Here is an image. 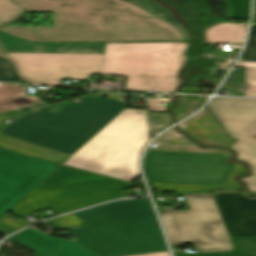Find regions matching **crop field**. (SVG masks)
I'll use <instances>...</instances> for the list:
<instances>
[{"label":"crop field","mask_w":256,"mask_h":256,"mask_svg":"<svg viewBox=\"0 0 256 256\" xmlns=\"http://www.w3.org/2000/svg\"><path fill=\"white\" fill-rule=\"evenodd\" d=\"M17 112H19V111L17 109H15V110H11V111L0 113V131L4 127H6V126L2 125V123L5 122L7 119H9L14 114H16Z\"/></svg>","instance_id":"crop-field-30"},{"label":"crop field","mask_w":256,"mask_h":256,"mask_svg":"<svg viewBox=\"0 0 256 256\" xmlns=\"http://www.w3.org/2000/svg\"><path fill=\"white\" fill-rule=\"evenodd\" d=\"M20 73L33 81L59 85L62 78L87 79L99 74L104 55L9 53Z\"/></svg>","instance_id":"crop-field-11"},{"label":"crop field","mask_w":256,"mask_h":256,"mask_svg":"<svg viewBox=\"0 0 256 256\" xmlns=\"http://www.w3.org/2000/svg\"><path fill=\"white\" fill-rule=\"evenodd\" d=\"M132 256H170L168 251L164 252H156V253H148V254H140V255H132Z\"/></svg>","instance_id":"crop-field-31"},{"label":"crop field","mask_w":256,"mask_h":256,"mask_svg":"<svg viewBox=\"0 0 256 256\" xmlns=\"http://www.w3.org/2000/svg\"><path fill=\"white\" fill-rule=\"evenodd\" d=\"M236 250H255L256 237L233 238Z\"/></svg>","instance_id":"crop-field-27"},{"label":"crop field","mask_w":256,"mask_h":256,"mask_svg":"<svg viewBox=\"0 0 256 256\" xmlns=\"http://www.w3.org/2000/svg\"><path fill=\"white\" fill-rule=\"evenodd\" d=\"M19 92H23V87L0 85V112L40 103V100L36 97L23 98L18 96Z\"/></svg>","instance_id":"crop-field-18"},{"label":"crop field","mask_w":256,"mask_h":256,"mask_svg":"<svg viewBox=\"0 0 256 256\" xmlns=\"http://www.w3.org/2000/svg\"><path fill=\"white\" fill-rule=\"evenodd\" d=\"M245 96H256V68H245Z\"/></svg>","instance_id":"crop-field-25"},{"label":"crop field","mask_w":256,"mask_h":256,"mask_svg":"<svg viewBox=\"0 0 256 256\" xmlns=\"http://www.w3.org/2000/svg\"><path fill=\"white\" fill-rule=\"evenodd\" d=\"M240 60L256 61V24L251 27L247 48Z\"/></svg>","instance_id":"crop-field-23"},{"label":"crop field","mask_w":256,"mask_h":256,"mask_svg":"<svg viewBox=\"0 0 256 256\" xmlns=\"http://www.w3.org/2000/svg\"><path fill=\"white\" fill-rule=\"evenodd\" d=\"M148 141L145 110L125 109L64 164L131 182Z\"/></svg>","instance_id":"crop-field-4"},{"label":"crop field","mask_w":256,"mask_h":256,"mask_svg":"<svg viewBox=\"0 0 256 256\" xmlns=\"http://www.w3.org/2000/svg\"><path fill=\"white\" fill-rule=\"evenodd\" d=\"M187 97H197L196 100L186 99ZM207 97L204 96H180L178 100L179 107H177L173 112L176 114V121L180 120L192 112L196 111L205 102Z\"/></svg>","instance_id":"crop-field-20"},{"label":"crop field","mask_w":256,"mask_h":256,"mask_svg":"<svg viewBox=\"0 0 256 256\" xmlns=\"http://www.w3.org/2000/svg\"><path fill=\"white\" fill-rule=\"evenodd\" d=\"M31 12H53V27L0 31L35 42L185 40L171 23L126 0H10Z\"/></svg>","instance_id":"crop-field-1"},{"label":"crop field","mask_w":256,"mask_h":256,"mask_svg":"<svg viewBox=\"0 0 256 256\" xmlns=\"http://www.w3.org/2000/svg\"><path fill=\"white\" fill-rule=\"evenodd\" d=\"M74 214L88 224L71 231V235L101 256L168 250L148 197L107 203Z\"/></svg>","instance_id":"crop-field-3"},{"label":"crop field","mask_w":256,"mask_h":256,"mask_svg":"<svg viewBox=\"0 0 256 256\" xmlns=\"http://www.w3.org/2000/svg\"><path fill=\"white\" fill-rule=\"evenodd\" d=\"M175 256H256L254 251H231V252H218V253H204V254H190L183 255L173 252Z\"/></svg>","instance_id":"crop-field-26"},{"label":"crop field","mask_w":256,"mask_h":256,"mask_svg":"<svg viewBox=\"0 0 256 256\" xmlns=\"http://www.w3.org/2000/svg\"><path fill=\"white\" fill-rule=\"evenodd\" d=\"M231 137L237 160L250 164L252 177L240 179L256 193V99L214 98L208 106Z\"/></svg>","instance_id":"crop-field-9"},{"label":"crop field","mask_w":256,"mask_h":256,"mask_svg":"<svg viewBox=\"0 0 256 256\" xmlns=\"http://www.w3.org/2000/svg\"><path fill=\"white\" fill-rule=\"evenodd\" d=\"M121 95L84 98L51 113H29L0 132V146L63 164L129 104Z\"/></svg>","instance_id":"crop-field-2"},{"label":"crop field","mask_w":256,"mask_h":256,"mask_svg":"<svg viewBox=\"0 0 256 256\" xmlns=\"http://www.w3.org/2000/svg\"><path fill=\"white\" fill-rule=\"evenodd\" d=\"M24 11L9 0H0V20L22 14Z\"/></svg>","instance_id":"crop-field-24"},{"label":"crop field","mask_w":256,"mask_h":256,"mask_svg":"<svg viewBox=\"0 0 256 256\" xmlns=\"http://www.w3.org/2000/svg\"><path fill=\"white\" fill-rule=\"evenodd\" d=\"M253 23H256V3H255L254 15H253Z\"/></svg>","instance_id":"crop-field-35"},{"label":"crop field","mask_w":256,"mask_h":256,"mask_svg":"<svg viewBox=\"0 0 256 256\" xmlns=\"http://www.w3.org/2000/svg\"><path fill=\"white\" fill-rule=\"evenodd\" d=\"M137 185L61 165L29 197L58 215L101 202L128 197L122 190Z\"/></svg>","instance_id":"crop-field-7"},{"label":"crop field","mask_w":256,"mask_h":256,"mask_svg":"<svg viewBox=\"0 0 256 256\" xmlns=\"http://www.w3.org/2000/svg\"><path fill=\"white\" fill-rule=\"evenodd\" d=\"M236 67H256V63H238Z\"/></svg>","instance_id":"crop-field-33"},{"label":"crop field","mask_w":256,"mask_h":256,"mask_svg":"<svg viewBox=\"0 0 256 256\" xmlns=\"http://www.w3.org/2000/svg\"><path fill=\"white\" fill-rule=\"evenodd\" d=\"M16 17L17 16L0 21V26L12 23Z\"/></svg>","instance_id":"crop-field-34"},{"label":"crop field","mask_w":256,"mask_h":256,"mask_svg":"<svg viewBox=\"0 0 256 256\" xmlns=\"http://www.w3.org/2000/svg\"><path fill=\"white\" fill-rule=\"evenodd\" d=\"M224 188L210 194H186L191 209L174 211L163 208L159 214L171 244L195 242L199 252L233 250L225 224L212 194L233 193ZM200 195V198H197Z\"/></svg>","instance_id":"crop-field-8"},{"label":"crop field","mask_w":256,"mask_h":256,"mask_svg":"<svg viewBox=\"0 0 256 256\" xmlns=\"http://www.w3.org/2000/svg\"><path fill=\"white\" fill-rule=\"evenodd\" d=\"M179 127L204 144L230 146L234 142L226 135L207 109Z\"/></svg>","instance_id":"crop-field-15"},{"label":"crop field","mask_w":256,"mask_h":256,"mask_svg":"<svg viewBox=\"0 0 256 256\" xmlns=\"http://www.w3.org/2000/svg\"><path fill=\"white\" fill-rule=\"evenodd\" d=\"M151 128L153 131L159 132L165 127L172 124V118L165 113H149Z\"/></svg>","instance_id":"crop-field-22"},{"label":"crop field","mask_w":256,"mask_h":256,"mask_svg":"<svg viewBox=\"0 0 256 256\" xmlns=\"http://www.w3.org/2000/svg\"><path fill=\"white\" fill-rule=\"evenodd\" d=\"M129 1L137 3L143 8H145L146 10H148L150 13L173 23L181 31V33L184 35L186 40H195L184 28L181 22L177 19V17L174 15L172 10L166 8L159 2L155 0H129Z\"/></svg>","instance_id":"crop-field-19"},{"label":"crop field","mask_w":256,"mask_h":256,"mask_svg":"<svg viewBox=\"0 0 256 256\" xmlns=\"http://www.w3.org/2000/svg\"><path fill=\"white\" fill-rule=\"evenodd\" d=\"M187 43L107 44L100 74L128 76L126 89L174 92Z\"/></svg>","instance_id":"crop-field-5"},{"label":"crop field","mask_w":256,"mask_h":256,"mask_svg":"<svg viewBox=\"0 0 256 256\" xmlns=\"http://www.w3.org/2000/svg\"><path fill=\"white\" fill-rule=\"evenodd\" d=\"M10 238L37 251L35 256H100L76 241L53 238L33 227Z\"/></svg>","instance_id":"crop-field-14"},{"label":"crop field","mask_w":256,"mask_h":256,"mask_svg":"<svg viewBox=\"0 0 256 256\" xmlns=\"http://www.w3.org/2000/svg\"><path fill=\"white\" fill-rule=\"evenodd\" d=\"M247 24L220 23L205 28V42L243 43Z\"/></svg>","instance_id":"crop-field-17"},{"label":"crop field","mask_w":256,"mask_h":256,"mask_svg":"<svg viewBox=\"0 0 256 256\" xmlns=\"http://www.w3.org/2000/svg\"><path fill=\"white\" fill-rule=\"evenodd\" d=\"M229 157L148 150L143 167L146 178L158 189L185 193L223 185L241 188L233 178L246 169L243 165L228 163Z\"/></svg>","instance_id":"crop-field-6"},{"label":"crop field","mask_w":256,"mask_h":256,"mask_svg":"<svg viewBox=\"0 0 256 256\" xmlns=\"http://www.w3.org/2000/svg\"><path fill=\"white\" fill-rule=\"evenodd\" d=\"M0 81L24 82L17 76L14 67H0Z\"/></svg>","instance_id":"crop-field-28"},{"label":"crop field","mask_w":256,"mask_h":256,"mask_svg":"<svg viewBox=\"0 0 256 256\" xmlns=\"http://www.w3.org/2000/svg\"><path fill=\"white\" fill-rule=\"evenodd\" d=\"M146 42H188V41H146ZM146 42H55L35 43L0 32V43L8 52L33 53H81L104 54L106 43H146Z\"/></svg>","instance_id":"crop-field-13"},{"label":"crop field","mask_w":256,"mask_h":256,"mask_svg":"<svg viewBox=\"0 0 256 256\" xmlns=\"http://www.w3.org/2000/svg\"><path fill=\"white\" fill-rule=\"evenodd\" d=\"M213 196L231 237L256 236V199L242 193Z\"/></svg>","instance_id":"crop-field-12"},{"label":"crop field","mask_w":256,"mask_h":256,"mask_svg":"<svg viewBox=\"0 0 256 256\" xmlns=\"http://www.w3.org/2000/svg\"><path fill=\"white\" fill-rule=\"evenodd\" d=\"M222 89H244V76H229Z\"/></svg>","instance_id":"crop-field-29"},{"label":"crop field","mask_w":256,"mask_h":256,"mask_svg":"<svg viewBox=\"0 0 256 256\" xmlns=\"http://www.w3.org/2000/svg\"><path fill=\"white\" fill-rule=\"evenodd\" d=\"M0 66H13V64L5 58L0 57Z\"/></svg>","instance_id":"crop-field-32"},{"label":"crop field","mask_w":256,"mask_h":256,"mask_svg":"<svg viewBox=\"0 0 256 256\" xmlns=\"http://www.w3.org/2000/svg\"><path fill=\"white\" fill-rule=\"evenodd\" d=\"M0 54L5 55V52L0 48Z\"/></svg>","instance_id":"crop-field-36"},{"label":"crop field","mask_w":256,"mask_h":256,"mask_svg":"<svg viewBox=\"0 0 256 256\" xmlns=\"http://www.w3.org/2000/svg\"><path fill=\"white\" fill-rule=\"evenodd\" d=\"M59 166L0 148V218Z\"/></svg>","instance_id":"crop-field-10"},{"label":"crop field","mask_w":256,"mask_h":256,"mask_svg":"<svg viewBox=\"0 0 256 256\" xmlns=\"http://www.w3.org/2000/svg\"><path fill=\"white\" fill-rule=\"evenodd\" d=\"M234 18L249 19L250 0H230Z\"/></svg>","instance_id":"crop-field-21"},{"label":"crop field","mask_w":256,"mask_h":256,"mask_svg":"<svg viewBox=\"0 0 256 256\" xmlns=\"http://www.w3.org/2000/svg\"><path fill=\"white\" fill-rule=\"evenodd\" d=\"M153 144H157L156 148L149 149L173 152L232 155L231 151H224L219 148L200 149L196 142L190 141L185 135L177 133L175 128L166 132Z\"/></svg>","instance_id":"crop-field-16"}]
</instances>
